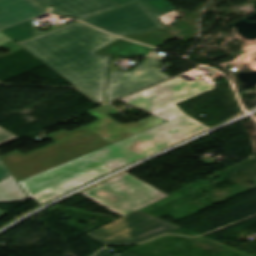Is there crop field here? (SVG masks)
<instances>
[{
  "label": "crop field",
  "mask_w": 256,
  "mask_h": 256,
  "mask_svg": "<svg viewBox=\"0 0 256 256\" xmlns=\"http://www.w3.org/2000/svg\"><path fill=\"white\" fill-rule=\"evenodd\" d=\"M106 250H108V249L104 248L102 251H100V252H99L97 255H95V256H113V255H111V254L105 252ZM119 256H140V255H137V254H134V253H131V252L126 251V252H124L123 254H121V255H119Z\"/></svg>",
  "instance_id": "crop-field-19"
},
{
  "label": "crop field",
  "mask_w": 256,
  "mask_h": 256,
  "mask_svg": "<svg viewBox=\"0 0 256 256\" xmlns=\"http://www.w3.org/2000/svg\"><path fill=\"white\" fill-rule=\"evenodd\" d=\"M43 7L52 6L51 13L80 20L118 7L110 0H35Z\"/></svg>",
  "instance_id": "crop-field-10"
},
{
  "label": "crop field",
  "mask_w": 256,
  "mask_h": 256,
  "mask_svg": "<svg viewBox=\"0 0 256 256\" xmlns=\"http://www.w3.org/2000/svg\"><path fill=\"white\" fill-rule=\"evenodd\" d=\"M126 173L81 194L122 216L168 196Z\"/></svg>",
  "instance_id": "crop-field-4"
},
{
  "label": "crop field",
  "mask_w": 256,
  "mask_h": 256,
  "mask_svg": "<svg viewBox=\"0 0 256 256\" xmlns=\"http://www.w3.org/2000/svg\"><path fill=\"white\" fill-rule=\"evenodd\" d=\"M137 1H140V0H137ZM137 1H135V2H137ZM142 1L152 11V13L156 17L161 16V15L175 9L166 0H142Z\"/></svg>",
  "instance_id": "crop-field-16"
},
{
  "label": "crop field",
  "mask_w": 256,
  "mask_h": 256,
  "mask_svg": "<svg viewBox=\"0 0 256 256\" xmlns=\"http://www.w3.org/2000/svg\"><path fill=\"white\" fill-rule=\"evenodd\" d=\"M8 175H10V174L7 172V170L0 163V179L6 177Z\"/></svg>",
  "instance_id": "crop-field-20"
},
{
  "label": "crop field",
  "mask_w": 256,
  "mask_h": 256,
  "mask_svg": "<svg viewBox=\"0 0 256 256\" xmlns=\"http://www.w3.org/2000/svg\"><path fill=\"white\" fill-rule=\"evenodd\" d=\"M37 5L31 0H0V28L45 13Z\"/></svg>",
  "instance_id": "crop-field-11"
},
{
  "label": "crop field",
  "mask_w": 256,
  "mask_h": 256,
  "mask_svg": "<svg viewBox=\"0 0 256 256\" xmlns=\"http://www.w3.org/2000/svg\"><path fill=\"white\" fill-rule=\"evenodd\" d=\"M178 228L138 210L87 234L104 245L135 244Z\"/></svg>",
  "instance_id": "crop-field-5"
},
{
  "label": "crop field",
  "mask_w": 256,
  "mask_h": 256,
  "mask_svg": "<svg viewBox=\"0 0 256 256\" xmlns=\"http://www.w3.org/2000/svg\"><path fill=\"white\" fill-rule=\"evenodd\" d=\"M172 37L174 36L167 29H164L125 38L157 47Z\"/></svg>",
  "instance_id": "crop-field-15"
},
{
  "label": "crop field",
  "mask_w": 256,
  "mask_h": 256,
  "mask_svg": "<svg viewBox=\"0 0 256 256\" xmlns=\"http://www.w3.org/2000/svg\"><path fill=\"white\" fill-rule=\"evenodd\" d=\"M165 58L166 56L153 53L141 61L131 72L110 70L105 103L170 78L156 69Z\"/></svg>",
  "instance_id": "crop-field-8"
},
{
  "label": "crop field",
  "mask_w": 256,
  "mask_h": 256,
  "mask_svg": "<svg viewBox=\"0 0 256 256\" xmlns=\"http://www.w3.org/2000/svg\"><path fill=\"white\" fill-rule=\"evenodd\" d=\"M153 115L167 122L21 180L19 184L30 199L42 205L97 177L209 129L186 116L176 105Z\"/></svg>",
  "instance_id": "crop-field-1"
},
{
  "label": "crop field",
  "mask_w": 256,
  "mask_h": 256,
  "mask_svg": "<svg viewBox=\"0 0 256 256\" xmlns=\"http://www.w3.org/2000/svg\"><path fill=\"white\" fill-rule=\"evenodd\" d=\"M16 138L18 137L0 127V144H3Z\"/></svg>",
  "instance_id": "crop-field-17"
},
{
  "label": "crop field",
  "mask_w": 256,
  "mask_h": 256,
  "mask_svg": "<svg viewBox=\"0 0 256 256\" xmlns=\"http://www.w3.org/2000/svg\"><path fill=\"white\" fill-rule=\"evenodd\" d=\"M178 14L176 12V10L162 16V17H159L158 19H160L165 26L169 25L170 23H172L176 18H178Z\"/></svg>",
  "instance_id": "crop-field-18"
},
{
  "label": "crop field",
  "mask_w": 256,
  "mask_h": 256,
  "mask_svg": "<svg viewBox=\"0 0 256 256\" xmlns=\"http://www.w3.org/2000/svg\"><path fill=\"white\" fill-rule=\"evenodd\" d=\"M47 11H50L51 9H53L52 7H49V8H45Z\"/></svg>",
  "instance_id": "crop-field-22"
},
{
  "label": "crop field",
  "mask_w": 256,
  "mask_h": 256,
  "mask_svg": "<svg viewBox=\"0 0 256 256\" xmlns=\"http://www.w3.org/2000/svg\"><path fill=\"white\" fill-rule=\"evenodd\" d=\"M114 2H116L117 4L119 5H126L132 1H135V0H113Z\"/></svg>",
  "instance_id": "crop-field-21"
},
{
  "label": "crop field",
  "mask_w": 256,
  "mask_h": 256,
  "mask_svg": "<svg viewBox=\"0 0 256 256\" xmlns=\"http://www.w3.org/2000/svg\"><path fill=\"white\" fill-rule=\"evenodd\" d=\"M34 20V19H32ZM32 20L25 21L22 23H19L17 25L4 28L0 30L5 35L13 39L14 41L18 42L21 40H24L26 38L38 35L40 33H43L41 31H38L31 23Z\"/></svg>",
  "instance_id": "crop-field-14"
},
{
  "label": "crop field",
  "mask_w": 256,
  "mask_h": 256,
  "mask_svg": "<svg viewBox=\"0 0 256 256\" xmlns=\"http://www.w3.org/2000/svg\"><path fill=\"white\" fill-rule=\"evenodd\" d=\"M154 48H150L137 43L125 41L123 39L111 44L110 46L98 51L97 53L111 54L117 57L145 56Z\"/></svg>",
  "instance_id": "crop-field-12"
},
{
  "label": "crop field",
  "mask_w": 256,
  "mask_h": 256,
  "mask_svg": "<svg viewBox=\"0 0 256 256\" xmlns=\"http://www.w3.org/2000/svg\"><path fill=\"white\" fill-rule=\"evenodd\" d=\"M13 179L9 176L4 181L0 182V203L27 200V196Z\"/></svg>",
  "instance_id": "crop-field-13"
},
{
  "label": "crop field",
  "mask_w": 256,
  "mask_h": 256,
  "mask_svg": "<svg viewBox=\"0 0 256 256\" xmlns=\"http://www.w3.org/2000/svg\"><path fill=\"white\" fill-rule=\"evenodd\" d=\"M3 215H5V214L0 211V217H2Z\"/></svg>",
  "instance_id": "crop-field-23"
},
{
  "label": "crop field",
  "mask_w": 256,
  "mask_h": 256,
  "mask_svg": "<svg viewBox=\"0 0 256 256\" xmlns=\"http://www.w3.org/2000/svg\"><path fill=\"white\" fill-rule=\"evenodd\" d=\"M111 106L107 105L99 109L88 112L98 121L84 126L88 130L97 134L106 141L113 143L165 121L158 119L154 116L146 118L137 123H129L121 125L115 120L111 119L107 115L111 114L109 111L112 110Z\"/></svg>",
  "instance_id": "crop-field-9"
},
{
  "label": "crop field",
  "mask_w": 256,
  "mask_h": 256,
  "mask_svg": "<svg viewBox=\"0 0 256 256\" xmlns=\"http://www.w3.org/2000/svg\"><path fill=\"white\" fill-rule=\"evenodd\" d=\"M116 39L74 22L18 44L86 95L102 102L110 56L93 52Z\"/></svg>",
  "instance_id": "crop-field-2"
},
{
  "label": "crop field",
  "mask_w": 256,
  "mask_h": 256,
  "mask_svg": "<svg viewBox=\"0 0 256 256\" xmlns=\"http://www.w3.org/2000/svg\"><path fill=\"white\" fill-rule=\"evenodd\" d=\"M82 22L119 36L164 28L141 2L106 12Z\"/></svg>",
  "instance_id": "crop-field-7"
},
{
  "label": "crop field",
  "mask_w": 256,
  "mask_h": 256,
  "mask_svg": "<svg viewBox=\"0 0 256 256\" xmlns=\"http://www.w3.org/2000/svg\"><path fill=\"white\" fill-rule=\"evenodd\" d=\"M213 88L200 79L187 82L177 78L120 101L153 114Z\"/></svg>",
  "instance_id": "crop-field-6"
},
{
  "label": "crop field",
  "mask_w": 256,
  "mask_h": 256,
  "mask_svg": "<svg viewBox=\"0 0 256 256\" xmlns=\"http://www.w3.org/2000/svg\"><path fill=\"white\" fill-rule=\"evenodd\" d=\"M49 139L54 143L26 155L15 150L1 156L17 181L109 144L83 127L70 133L60 130Z\"/></svg>",
  "instance_id": "crop-field-3"
}]
</instances>
